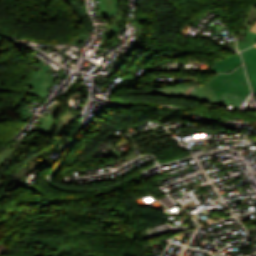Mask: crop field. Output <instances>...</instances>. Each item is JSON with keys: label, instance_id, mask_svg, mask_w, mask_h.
Here are the masks:
<instances>
[{"label": "crop field", "instance_id": "3", "mask_svg": "<svg viewBox=\"0 0 256 256\" xmlns=\"http://www.w3.org/2000/svg\"><path fill=\"white\" fill-rule=\"evenodd\" d=\"M245 63L248 80L251 84V89L256 92V48L251 47L241 52Z\"/></svg>", "mask_w": 256, "mask_h": 256}, {"label": "crop field", "instance_id": "2", "mask_svg": "<svg viewBox=\"0 0 256 256\" xmlns=\"http://www.w3.org/2000/svg\"><path fill=\"white\" fill-rule=\"evenodd\" d=\"M185 85L166 84L164 88L151 89L150 92L141 91H126L127 93H147L160 96L176 97V98H189L197 101L218 104V101L210 87L209 82L205 85H200L198 79Z\"/></svg>", "mask_w": 256, "mask_h": 256}, {"label": "crop field", "instance_id": "1", "mask_svg": "<svg viewBox=\"0 0 256 256\" xmlns=\"http://www.w3.org/2000/svg\"><path fill=\"white\" fill-rule=\"evenodd\" d=\"M210 84L222 106H226L223 97L229 96L233 107L237 108L251 92L243 66L230 74H219Z\"/></svg>", "mask_w": 256, "mask_h": 256}, {"label": "crop field", "instance_id": "7", "mask_svg": "<svg viewBox=\"0 0 256 256\" xmlns=\"http://www.w3.org/2000/svg\"><path fill=\"white\" fill-rule=\"evenodd\" d=\"M36 159V162H32L31 161V159ZM31 159H28V162L26 163V165L23 167V170L22 171H24V173L26 174V173H28L29 172V170L30 169H32V167H34V166H38L39 165V163H42V157H39V158H37V156H34L33 158H31Z\"/></svg>", "mask_w": 256, "mask_h": 256}, {"label": "crop field", "instance_id": "6", "mask_svg": "<svg viewBox=\"0 0 256 256\" xmlns=\"http://www.w3.org/2000/svg\"><path fill=\"white\" fill-rule=\"evenodd\" d=\"M254 44H256V33L250 31L247 32L242 40H237L238 51L244 50Z\"/></svg>", "mask_w": 256, "mask_h": 256}, {"label": "crop field", "instance_id": "4", "mask_svg": "<svg viewBox=\"0 0 256 256\" xmlns=\"http://www.w3.org/2000/svg\"><path fill=\"white\" fill-rule=\"evenodd\" d=\"M240 65H242L241 58L238 54H235L228 56L226 60L213 63L209 72L229 73Z\"/></svg>", "mask_w": 256, "mask_h": 256}, {"label": "crop field", "instance_id": "5", "mask_svg": "<svg viewBox=\"0 0 256 256\" xmlns=\"http://www.w3.org/2000/svg\"><path fill=\"white\" fill-rule=\"evenodd\" d=\"M26 140H21L17 143L15 142H11L10 145L5 149L3 150L1 153H0V168L2 166V164L13 154L15 153L20 147H22L20 144L25 142Z\"/></svg>", "mask_w": 256, "mask_h": 256}, {"label": "crop field", "instance_id": "8", "mask_svg": "<svg viewBox=\"0 0 256 256\" xmlns=\"http://www.w3.org/2000/svg\"><path fill=\"white\" fill-rule=\"evenodd\" d=\"M250 31L256 32V23L253 25L252 28H250Z\"/></svg>", "mask_w": 256, "mask_h": 256}]
</instances>
